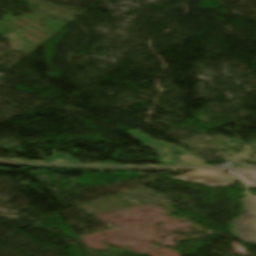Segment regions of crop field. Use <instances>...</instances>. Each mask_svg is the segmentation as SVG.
Listing matches in <instances>:
<instances>
[{
  "label": "crop field",
  "mask_w": 256,
  "mask_h": 256,
  "mask_svg": "<svg viewBox=\"0 0 256 256\" xmlns=\"http://www.w3.org/2000/svg\"><path fill=\"white\" fill-rule=\"evenodd\" d=\"M129 134L155 149L166 164L203 165L202 160L192 157L189 153L177 147L165 142L153 141L138 131H129Z\"/></svg>",
  "instance_id": "8a807250"
},
{
  "label": "crop field",
  "mask_w": 256,
  "mask_h": 256,
  "mask_svg": "<svg viewBox=\"0 0 256 256\" xmlns=\"http://www.w3.org/2000/svg\"><path fill=\"white\" fill-rule=\"evenodd\" d=\"M244 215L233 221V225L243 241L256 243V200L243 199Z\"/></svg>",
  "instance_id": "ac0d7876"
},
{
  "label": "crop field",
  "mask_w": 256,
  "mask_h": 256,
  "mask_svg": "<svg viewBox=\"0 0 256 256\" xmlns=\"http://www.w3.org/2000/svg\"><path fill=\"white\" fill-rule=\"evenodd\" d=\"M173 179L188 180L210 186H231L237 180V178L226 176L220 171L205 170H196L184 176H176Z\"/></svg>",
  "instance_id": "34b2d1b8"
},
{
  "label": "crop field",
  "mask_w": 256,
  "mask_h": 256,
  "mask_svg": "<svg viewBox=\"0 0 256 256\" xmlns=\"http://www.w3.org/2000/svg\"><path fill=\"white\" fill-rule=\"evenodd\" d=\"M249 188L256 187V171H235Z\"/></svg>",
  "instance_id": "412701ff"
},
{
  "label": "crop field",
  "mask_w": 256,
  "mask_h": 256,
  "mask_svg": "<svg viewBox=\"0 0 256 256\" xmlns=\"http://www.w3.org/2000/svg\"><path fill=\"white\" fill-rule=\"evenodd\" d=\"M45 162H60V163H72L76 164L77 160L66 157L65 155H54V157L45 159Z\"/></svg>",
  "instance_id": "f4fd0767"
}]
</instances>
